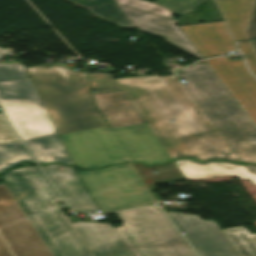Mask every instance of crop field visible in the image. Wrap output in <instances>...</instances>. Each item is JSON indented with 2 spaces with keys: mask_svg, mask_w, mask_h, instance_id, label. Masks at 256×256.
Wrapping results in <instances>:
<instances>
[{
  "mask_svg": "<svg viewBox=\"0 0 256 256\" xmlns=\"http://www.w3.org/2000/svg\"><path fill=\"white\" fill-rule=\"evenodd\" d=\"M116 80L170 158L241 162L174 75Z\"/></svg>",
  "mask_w": 256,
  "mask_h": 256,
  "instance_id": "8a807250",
  "label": "crop field"
},
{
  "mask_svg": "<svg viewBox=\"0 0 256 256\" xmlns=\"http://www.w3.org/2000/svg\"><path fill=\"white\" fill-rule=\"evenodd\" d=\"M2 177L54 256H91L54 203L61 198L38 167L10 170Z\"/></svg>",
  "mask_w": 256,
  "mask_h": 256,
  "instance_id": "ac0d7876",
  "label": "crop field"
},
{
  "mask_svg": "<svg viewBox=\"0 0 256 256\" xmlns=\"http://www.w3.org/2000/svg\"><path fill=\"white\" fill-rule=\"evenodd\" d=\"M60 137L74 165L83 169L127 161L153 165L171 160L146 124L116 129L104 126Z\"/></svg>",
  "mask_w": 256,
  "mask_h": 256,
  "instance_id": "34b2d1b8",
  "label": "crop field"
},
{
  "mask_svg": "<svg viewBox=\"0 0 256 256\" xmlns=\"http://www.w3.org/2000/svg\"><path fill=\"white\" fill-rule=\"evenodd\" d=\"M243 163H256V128L207 65L174 72Z\"/></svg>",
  "mask_w": 256,
  "mask_h": 256,
  "instance_id": "412701ff",
  "label": "crop field"
},
{
  "mask_svg": "<svg viewBox=\"0 0 256 256\" xmlns=\"http://www.w3.org/2000/svg\"><path fill=\"white\" fill-rule=\"evenodd\" d=\"M26 68L59 135L104 126L89 94L86 75L70 67Z\"/></svg>",
  "mask_w": 256,
  "mask_h": 256,
  "instance_id": "f4fd0767",
  "label": "crop field"
},
{
  "mask_svg": "<svg viewBox=\"0 0 256 256\" xmlns=\"http://www.w3.org/2000/svg\"><path fill=\"white\" fill-rule=\"evenodd\" d=\"M0 105L37 162L73 165L29 78L0 82Z\"/></svg>",
  "mask_w": 256,
  "mask_h": 256,
  "instance_id": "dd49c442",
  "label": "crop field"
},
{
  "mask_svg": "<svg viewBox=\"0 0 256 256\" xmlns=\"http://www.w3.org/2000/svg\"><path fill=\"white\" fill-rule=\"evenodd\" d=\"M117 215L123 226L114 229L132 256H195L160 209L144 207Z\"/></svg>",
  "mask_w": 256,
  "mask_h": 256,
  "instance_id": "e52e79f7",
  "label": "crop field"
},
{
  "mask_svg": "<svg viewBox=\"0 0 256 256\" xmlns=\"http://www.w3.org/2000/svg\"><path fill=\"white\" fill-rule=\"evenodd\" d=\"M79 173L104 213L154 203L130 163Z\"/></svg>",
  "mask_w": 256,
  "mask_h": 256,
  "instance_id": "d8731c3e",
  "label": "crop field"
},
{
  "mask_svg": "<svg viewBox=\"0 0 256 256\" xmlns=\"http://www.w3.org/2000/svg\"><path fill=\"white\" fill-rule=\"evenodd\" d=\"M0 235L15 256H53L4 183L0 184Z\"/></svg>",
  "mask_w": 256,
  "mask_h": 256,
  "instance_id": "5a996713",
  "label": "crop field"
},
{
  "mask_svg": "<svg viewBox=\"0 0 256 256\" xmlns=\"http://www.w3.org/2000/svg\"><path fill=\"white\" fill-rule=\"evenodd\" d=\"M167 214L180 232H186L185 237L200 256H239L215 221L178 212Z\"/></svg>",
  "mask_w": 256,
  "mask_h": 256,
  "instance_id": "3316defc",
  "label": "crop field"
},
{
  "mask_svg": "<svg viewBox=\"0 0 256 256\" xmlns=\"http://www.w3.org/2000/svg\"><path fill=\"white\" fill-rule=\"evenodd\" d=\"M206 61L256 125V79L243 60L231 62L222 56Z\"/></svg>",
  "mask_w": 256,
  "mask_h": 256,
  "instance_id": "28ad6ade",
  "label": "crop field"
},
{
  "mask_svg": "<svg viewBox=\"0 0 256 256\" xmlns=\"http://www.w3.org/2000/svg\"><path fill=\"white\" fill-rule=\"evenodd\" d=\"M41 167L70 206L88 211L100 209L76 168L65 165Z\"/></svg>",
  "mask_w": 256,
  "mask_h": 256,
  "instance_id": "d1516ede",
  "label": "crop field"
},
{
  "mask_svg": "<svg viewBox=\"0 0 256 256\" xmlns=\"http://www.w3.org/2000/svg\"><path fill=\"white\" fill-rule=\"evenodd\" d=\"M122 8L140 31L162 36L178 49L202 59L190 40L174 23L176 20L123 6Z\"/></svg>",
  "mask_w": 256,
  "mask_h": 256,
  "instance_id": "22f410ed",
  "label": "crop field"
},
{
  "mask_svg": "<svg viewBox=\"0 0 256 256\" xmlns=\"http://www.w3.org/2000/svg\"><path fill=\"white\" fill-rule=\"evenodd\" d=\"M94 256H131L110 224L72 223Z\"/></svg>",
  "mask_w": 256,
  "mask_h": 256,
  "instance_id": "cbeb9de0",
  "label": "crop field"
},
{
  "mask_svg": "<svg viewBox=\"0 0 256 256\" xmlns=\"http://www.w3.org/2000/svg\"><path fill=\"white\" fill-rule=\"evenodd\" d=\"M180 28L203 58L217 56L236 49L223 22Z\"/></svg>",
  "mask_w": 256,
  "mask_h": 256,
  "instance_id": "5142ce71",
  "label": "crop field"
},
{
  "mask_svg": "<svg viewBox=\"0 0 256 256\" xmlns=\"http://www.w3.org/2000/svg\"><path fill=\"white\" fill-rule=\"evenodd\" d=\"M98 110L112 128L145 123L124 91L93 94Z\"/></svg>",
  "mask_w": 256,
  "mask_h": 256,
  "instance_id": "d9b57169",
  "label": "crop field"
},
{
  "mask_svg": "<svg viewBox=\"0 0 256 256\" xmlns=\"http://www.w3.org/2000/svg\"><path fill=\"white\" fill-rule=\"evenodd\" d=\"M185 178H208L214 176L236 175L256 185V175L251 174L244 165L226 162L200 163L193 160L174 161Z\"/></svg>",
  "mask_w": 256,
  "mask_h": 256,
  "instance_id": "733c2abd",
  "label": "crop field"
},
{
  "mask_svg": "<svg viewBox=\"0 0 256 256\" xmlns=\"http://www.w3.org/2000/svg\"><path fill=\"white\" fill-rule=\"evenodd\" d=\"M236 42L250 40L246 30L255 0H216Z\"/></svg>",
  "mask_w": 256,
  "mask_h": 256,
  "instance_id": "4a817a6b",
  "label": "crop field"
},
{
  "mask_svg": "<svg viewBox=\"0 0 256 256\" xmlns=\"http://www.w3.org/2000/svg\"><path fill=\"white\" fill-rule=\"evenodd\" d=\"M89 8L90 12L100 18L119 24L124 28L134 27L115 0H69Z\"/></svg>",
  "mask_w": 256,
  "mask_h": 256,
  "instance_id": "bc2a9ffb",
  "label": "crop field"
},
{
  "mask_svg": "<svg viewBox=\"0 0 256 256\" xmlns=\"http://www.w3.org/2000/svg\"><path fill=\"white\" fill-rule=\"evenodd\" d=\"M132 164L137 172L140 174L150 191L155 190V184L165 183V179L182 176L174 162L154 167H147L138 163ZM156 170H158L160 173H152Z\"/></svg>",
  "mask_w": 256,
  "mask_h": 256,
  "instance_id": "214f88e0",
  "label": "crop field"
},
{
  "mask_svg": "<svg viewBox=\"0 0 256 256\" xmlns=\"http://www.w3.org/2000/svg\"><path fill=\"white\" fill-rule=\"evenodd\" d=\"M222 232L240 256H256V234H252L243 226L223 229Z\"/></svg>",
  "mask_w": 256,
  "mask_h": 256,
  "instance_id": "92a150f3",
  "label": "crop field"
},
{
  "mask_svg": "<svg viewBox=\"0 0 256 256\" xmlns=\"http://www.w3.org/2000/svg\"><path fill=\"white\" fill-rule=\"evenodd\" d=\"M23 161L34 162L21 141L0 144V173Z\"/></svg>",
  "mask_w": 256,
  "mask_h": 256,
  "instance_id": "dafd665d",
  "label": "crop field"
},
{
  "mask_svg": "<svg viewBox=\"0 0 256 256\" xmlns=\"http://www.w3.org/2000/svg\"><path fill=\"white\" fill-rule=\"evenodd\" d=\"M93 90L97 93L121 91L111 73H88Z\"/></svg>",
  "mask_w": 256,
  "mask_h": 256,
  "instance_id": "00972430",
  "label": "crop field"
},
{
  "mask_svg": "<svg viewBox=\"0 0 256 256\" xmlns=\"http://www.w3.org/2000/svg\"><path fill=\"white\" fill-rule=\"evenodd\" d=\"M203 1L204 0H158L154 4L166 7L181 19Z\"/></svg>",
  "mask_w": 256,
  "mask_h": 256,
  "instance_id": "a9b5d70f",
  "label": "crop field"
},
{
  "mask_svg": "<svg viewBox=\"0 0 256 256\" xmlns=\"http://www.w3.org/2000/svg\"><path fill=\"white\" fill-rule=\"evenodd\" d=\"M116 1L119 4H123L129 7H133L136 9H140V10H144V11H148L156 14H161L169 17H172L174 15L162 6L154 5L142 0H116Z\"/></svg>",
  "mask_w": 256,
  "mask_h": 256,
  "instance_id": "4177f3b9",
  "label": "crop field"
},
{
  "mask_svg": "<svg viewBox=\"0 0 256 256\" xmlns=\"http://www.w3.org/2000/svg\"><path fill=\"white\" fill-rule=\"evenodd\" d=\"M28 77L22 64H0V81Z\"/></svg>",
  "mask_w": 256,
  "mask_h": 256,
  "instance_id": "730fd06b",
  "label": "crop field"
},
{
  "mask_svg": "<svg viewBox=\"0 0 256 256\" xmlns=\"http://www.w3.org/2000/svg\"><path fill=\"white\" fill-rule=\"evenodd\" d=\"M253 74L256 76V50L252 42L238 43Z\"/></svg>",
  "mask_w": 256,
  "mask_h": 256,
  "instance_id": "eef30255",
  "label": "crop field"
},
{
  "mask_svg": "<svg viewBox=\"0 0 256 256\" xmlns=\"http://www.w3.org/2000/svg\"><path fill=\"white\" fill-rule=\"evenodd\" d=\"M18 141V139L12 133L10 127L4 120L2 114H0V143Z\"/></svg>",
  "mask_w": 256,
  "mask_h": 256,
  "instance_id": "ae1a2a85",
  "label": "crop field"
},
{
  "mask_svg": "<svg viewBox=\"0 0 256 256\" xmlns=\"http://www.w3.org/2000/svg\"><path fill=\"white\" fill-rule=\"evenodd\" d=\"M247 33L250 37L251 40H255L256 39V4L253 10V14L249 23V27L247 30ZM255 48H256V42H253Z\"/></svg>",
  "mask_w": 256,
  "mask_h": 256,
  "instance_id": "d3111659",
  "label": "crop field"
},
{
  "mask_svg": "<svg viewBox=\"0 0 256 256\" xmlns=\"http://www.w3.org/2000/svg\"><path fill=\"white\" fill-rule=\"evenodd\" d=\"M0 256H13L1 238H0Z\"/></svg>",
  "mask_w": 256,
  "mask_h": 256,
  "instance_id": "750c4746",
  "label": "crop field"
},
{
  "mask_svg": "<svg viewBox=\"0 0 256 256\" xmlns=\"http://www.w3.org/2000/svg\"><path fill=\"white\" fill-rule=\"evenodd\" d=\"M248 170L252 173H255L256 174V165H245Z\"/></svg>",
  "mask_w": 256,
  "mask_h": 256,
  "instance_id": "bd1437ed",
  "label": "crop field"
},
{
  "mask_svg": "<svg viewBox=\"0 0 256 256\" xmlns=\"http://www.w3.org/2000/svg\"><path fill=\"white\" fill-rule=\"evenodd\" d=\"M6 53H11L10 49L7 48V49H1L0 48V58L5 55Z\"/></svg>",
  "mask_w": 256,
  "mask_h": 256,
  "instance_id": "1d83c4d3",
  "label": "crop field"
}]
</instances>
